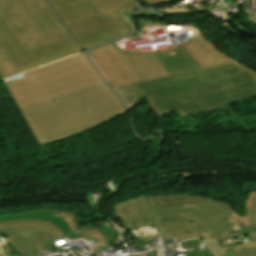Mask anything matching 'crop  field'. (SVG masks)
Wrapping results in <instances>:
<instances>
[{
    "instance_id": "2",
    "label": "crop field",
    "mask_w": 256,
    "mask_h": 256,
    "mask_svg": "<svg viewBox=\"0 0 256 256\" xmlns=\"http://www.w3.org/2000/svg\"><path fill=\"white\" fill-rule=\"evenodd\" d=\"M129 109L148 97L157 113L181 116L256 93V73L233 63L114 88Z\"/></svg>"
},
{
    "instance_id": "9",
    "label": "crop field",
    "mask_w": 256,
    "mask_h": 256,
    "mask_svg": "<svg viewBox=\"0 0 256 256\" xmlns=\"http://www.w3.org/2000/svg\"><path fill=\"white\" fill-rule=\"evenodd\" d=\"M113 212L130 229L135 243L142 242L140 237L157 234L144 195L116 204Z\"/></svg>"
},
{
    "instance_id": "3",
    "label": "crop field",
    "mask_w": 256,
    "mask_h": 256,
    "mask_svg": "<svg viewBox=\"0 0 256 256\" xmlns=\"http://www.w3.org/2000/svg\"><path fill=\"white\" fill-rule=\"evenodd\" d=\"M22 113L43 146L88 131L126 111L105 84Z\"/></svg>"
},
{
    "instance_id": "24",
    "label": "crop field",
    "mask_w": 256,
    "mask_h": 256,
    "mask_svg": "<svg viewBox=\"0 0 256 256\" xmlns=\"http://www.w3.org/2000/svg\"><path fill=\"white\" fill-rule=\"evenodd\" d=\"M254 224H256V207H255L254 216H253V220H252L251 225H254Z\"/></svg>"
},
{
    "instance_id": "16",
    "label": "crop field",
    "mask_w": 256,
    "mask_h": 256,
    "mask_svg": "<svg viewBox=\"0 0 256 256\" xmlns=\"http://www.w3.org/2000/svg\"><path fill=\"white\" fill-rule=\"evenodd\" d=\"M205 6H207V5L206 4L198 5V6H194V7H189L188 9L183 8V9H178V10H177L176 6H173V7H169V8L159 9L157 11H159L161 13H179V12H185V11H191V10H203Z\"/></svg>"
},
{
    "instance_id": "14",
    "label": "crop field",
    "mask_w": 256,
    "mask_h": 256,
    "mask_svg": "<svg viewBox=\"0 0 256 256\" xmlns=\"http://www.w3.org/2000/svg\"><path fill=\"white\" fill-rule=\"evenodd\" d=\"M255 202H256V192L251 191L246 201L245 217L238 218L233 230L240 229L241 223H243V226L250 225Z\"/></svg>"
},
{
    "instance_id": "10",
    "label": "crop field",
    "mask_w": 256,
    "mask_h": 256,
    "mask_svg": "<svg viewBox=\"0 0 256 256\" xmlns=\"http://www.w3.org/2000/svg\"><path fill=\"white\" fill-rule=\"evenodd\" d=\"M54 216L62 218L68 225L75 239H94L97 244L91 246L94 252H102L109 247L119 233L113 227L107 229L106 226L99 228L95 226L80 227L81 218L75 213L56 211Z\"/></svg>"
},
{
    "instance_id": "8",
    "label": "crop field",
    "mask_w": 256,
    "mask_h": 256,
    "mask_svg": "<svg viewBox=\"0 0 256 256\" xmlns=\"http://www.w3.org/2000/svg\"><path fill=\"white\" fill-rule=\"evenodd\" d=\"M54 210H40L22 214L0 215V234L6 233L18 254L31 252L28 246L44 244L58 248L54 242L72 237L65 222L53 217Z\"/></svg>"
},
{
    "instance_id": "5",
    "label": "crop field",
    "mask_w": 256,
    "mask_h": 256,
    "mask_svg": "<svg viewBox=\"0 0 256 256\" xmlns=\"http://www.w3.org/2000/svg\"><path fill=\"white\" fill-rule=\"evenodd\" d=\"M84 50L126 36L136 29V0H47Z\"/></svg>"
},
{
    "instance_id": "15",
    "label": "crop field",
    "mask_w": 256,
    "mask_h": 256,
    "mask_svg": "<svg viewBox=\"0 0 256 256\" xmlns=\"http://www.w3.org/2000/svg\"><path fill=\"white\" fill-rule=\"evenodd\" d=\"M182 248L194 247L195 250L185 251L186 256H215L209 249L199 250L200 240H187L180 243Z\"/></svg>"
},
{
    "instance_id": "12",
    "label": "crop field",
    "mask_w": 256,
    "mask_h": 256,
    "mask_svg": "<svg viewBox=\"0 0 256 256\" xmlns=\"http://www.w3.org/2000/svg\"><path fill=\"white\" fill-rule=\"evenodd\" d=\"M208 247L216 254V256H247L256 255V249H245L240 248L250 246V242H241L229 245L220 246L219 243L207 241Z\"/></svg>"
},
{
    "instance_id": "29",
    "label": "crop field",
    "mask_w": 256,
    "mask_h": 256,
    "mask_svg": "<svg viewBox=\"0 0 256 256\" xmlns=\"http://www.w3.org/2000/svg\"><path fill=\"white\" fill-rule=\"evenodd\" d=\"M0 256H3L2 253H0Z\"/></svg>"
},
{
    "instance_id": "25",
    "label": "crop field",
    "mask_w": 256,
    "mask_h": 256,
    "mask_svg": "<svg viewBox=\"0 0 256 256\" xmlns=\"http://www.w3.org/2000/svg\"><path fill=\"white\" fill-rule=\"evenodd\" d=\"M249 237H250V241L256 240V234L249 235Z\"/></svg>"
},
{
    "instance_id": "6",
    "label": "crop field",
    "mask_w": 256,
    "mask_h": 256,
    "mask_svg": "<svg viewBox=\"0 0 256 256\" xmlns=\"http://www.w3.org/2000/svg\"><path fill=\"white\" fill-rule=\"evenodd\" d=\"M124 51L115 42L89 53L113 87L202 68L183 46L148 52L140 48L127 54Z\"/></svg>"
},
{
    "instance_id": "11",
    "label": "crop field",
    "mask_w": 256,
    "mask_h": 256,
    "mask_svg": "<svg viewBox=\"0 0 256 256\" xmlns=\"http://www.w3.org/2000/svg\"><path fill=\"white\" fill-rule=\"evenodd\" d=\"M183 46L203 68L236 62L223 55L204 37L186 42Z\"/></svg>"
},
{
    "instance_id": "18",
    "label": "crop field",
    "mask_w": 256,
    "mask_h": 256,
    "mask_svg": "<svg viewBox=\"0 0 256 256\" xmlns=\"http://www.w3.org/2000/svg\"><path fill=\"white\" fill-rule=\"evenodd\" d=\"M228 13H229V12H228ZM229 15H230V13H229ZM227 17H229V16H228V14H226V13H221V14H220L219 18H220L222 24H224V25H225L230 31H232L235 35H240L239 33H237V32H235V31L231 30L230 27L227 26V23H226L225 20H224V19H226ZM240 36H241V35H240Z\"/></svg>"
},
{
    "instance_id": "30",
    "label": "crop field",
    "mask_w": 256,
    "mask_h": 256,
    "mask_svg": "<svg viewBox=\"0 0 256 256\" xmlns=\"http://www.w3.org/2000/svg\"><path fill=\"white\" fill-rule=\"evenodd\" d=\"M0 252H1V249H0Z\"/></svg>"
},
{
    "instance_id": "4",
    "label": "crop field",
    "mask_w": 256,
    "mask_h": 256,
    "mask_svg": "<svg viewBox=\"0 0 256 256\" xmlns=\"http://www.w3.org/2000/svg\"><path fill=\"white\" fill-rule=\"evenodd\" d=\"M4 81L20 110L105 84L84 53Z\"/></svg>"
},
{
    "instance_id": "13",
    "label": "crop field",
    "mask_w": 256,
    "mask_h": 256,
    "mask_svg": "<svg viewBox=\"0 0 256 256\" xmlns=\"http://www.w3.org/2000/svg\"><path fill=\"white\" fill-rule=\"evenodd\" d=\"M240 236V230L237 231H214V232H197V233H185L175 236L177 241H181L187 238H203L213 241H224L234 237Z\"/></svg>"
},
{
    "instance_id": "1",
    "label": "crop field",
    "mask_w": 256,
    "mask_h": 256,
    "mask_svg": "<svg viewBox=\"0 0 256 256\" xmlns=\"http://www.w3.org/2000/svg\"><path fill=\"white\" fill-rule=\"evenodd\" d=\"M83 50L45 0H0V77Z\"/></svg>"
},
{
    "instance_id": "7",
    "label": "crop field",
    "mask_w": 256,
    "mask_h": 256,
    "mask_svg": "<svg viewBox=\"0 0 256 256\" xmlns=\"http://www.w3.org/2000/svg\"><path fill=\"white\" fill-rule=\"evenodd\" d=\"M160 235L232 230L235 208L214 198L188 194L145 196Z\"/></svg>"
},
{
    "instance_id": "20",
    "label": "crop field",
    "mask_w": 256,
    "mask_h": 256,
    "mask_svg": "<svg viewBox=\"0 0 256 256\" xmlns=\"http://www.w3.org/2000/svg\"><path fill=\"white\" fill-rule=\"evenodd\" d=\"M0 245H1V247H2V251H3V252L10 251V250H9V247H8V245H7V243L5 242V240L3 239L2 236L0 237Z\"/></svg>"
},
{
    "instance_id": "21",
    "label": "crop field",
    "mask_w": 256,
    "mask_h": 256,
    "mask_svg": "<svg viewBox=\"0 0 256 256\" xmlns=\"http://www.w3.org/2000/svg\"><path fill=\"white\" fill-rule=\"evenodd\" d=\"M146 15V16H154V15H158V14H156V13H154V12H151V11H148V10H140V11H138L137 12V16L138 15Z\"/></svg>"
},
{
    "instance_id": "28",
    "label": "crop field",
    "mask_w": 256,
    "mask_h": 256,
    "mask_svg": "<svg viewBox=\"0 0 256 256\" xmlns=\"http://www.w3.org/2000/svg\"><path fill=\"white\" fill-rule=\"evenodd\" d=\"M218 8V7H217ZM208 10H214V9H211V7H207ZM216 9V8H215Z\"/></svg>"
},
{
    "instance_id": "19",
    "label": "crop field",
    "mask_w": 256,
    "mask_h": 256,
    "mask_svg": "<svg viewBox=\"0 0 256 256\" xmlns=\"http://www.w3.org/2000/svg\"><path fill=\"white\" fill-rule=\"evenodd\" d=\"M253 232H256V225L243 227L241 231V235L247 234V233H253Z\"/></svg>"
},
{
    "instance_id": "26",
    "label": "crop field",
    "mask_w": 256,
    "mask_h": 256,
    "mask_svg": "<svg viewBox=\"0 0 256 256\" xmlns=\"http://www.w3.org/2000/svg\"><path fill=\"white\" fill-rule=\"evenodd\" d=\"M251 244H252V246L246 247V248H256V241L255 242H251ZM242 249H244V248H242Z\"/></svg>"
},
{
    "instance_id": "17",
    "label": "crop field",
    "mask_w": 256,
    "mask_h": 256,
    "mask_svg": "<svg viewBox=\"0 0 256 256\" xmlns=\"http://www.w3.org/2000/svg\"><path fill=\"white\" fill-rule=\"evenodd\" d=\"M141 22V30L140 32H143L142 30L148 31L149 26H156V27H162L163 25H166L164 23L158 22V21H151V20H140Z\"/></svg>"
},
{
    "instance_id": "27",
    "label": "crop field",
    "mask_w": 256,
    "mask_h": 256,
    "mask_svg": "<svg viewBox=\"0 0 256 256\" xmlns=\"http://www.w3.org/2000/svg\"><path fill=\"white\" fill-rule=\"evenodd\" d=\"M223 9H224V10H227V7H223ZM216 11H222V10H220V8H219V9L216 10Z\"/></svg>"
},
{
    "instance_id": "23",
    "label": "crop field",
    "mask_w": 256,
    "mask_h": 256,
    "mask_svg": "<svg viewBox=\"0 0 256 256\" xmlns=\"http://www.w3.org/2000/svg\"><path fill=\"white\" fill-rule=\"evenodd\" d=\"M224 1H228V6H230L229 9L235 7L236 2H237V0H224Z\"/></svg>"
},
{
    "instance_id": "22",
    "label": "crop field",
    "mask_w": 256,
    "mask_h": 256,
    "mask_svg": "<svg viewBox=\"0 0 256 256\" xmlns=\"http://www.w3.org/2000/svg\"><path fill=\"white\" fill-rule=\"evenodd\" d=\"M145 3L148 4H160L171 0H143Z\"/></svg>"
}]
</instances>
